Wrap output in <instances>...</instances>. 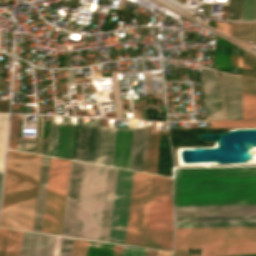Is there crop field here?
Segmentation results:
<instances>
[{
	"instance_id": "obj_1",
	"label": "crop field",
	"mask_w": 256,
	"mask_h": 256,
	"mask_svg": "<svg viewBox=\"0 0 256 256\" xmlns=\"http://www.w3.org/2000/svg\"><path fill=\"white\" fill-rule=\"evenodd\" d=\"M116 173L71 161L62 235L108 242Z\"/></svg>"
},
{
	"instance_id": "obj_2",
	"label": "crop field",
	"mask_w": 256,
	"mask_h": 256,
	"mask_svg": "<svg viewBox=\"0 0 256 256\" xmlns=\"http://www.w3.org/2000/svg\"><path fill=\"white\" fill-rule=\"evenodd\" d=\"M256 182V168L176 169L175 184ZM256 205V183L175 185L174 206Z\"/></svg>"
},
{
	"instance_id": "obj_3",
	"label": "crop field",
	"mask_w": 256,
	"mask_h": 256,
	"mask_svg": "<svg viewBox=\"0 0 256 256\" xmlns=\"http://www.w3.org/2000/svg\"><path fill=\"white\" fill-rule=\"evenodd\" d=\"M41 156L9 150L0 226L32 231Z\"/></svg>"
},
{
	"instance_id": "obj_4",
	"label": "crop field",
	"mask_w": 256,
	"mask_h": 256,
	"mask_svg": "<svg viewBox=\"0 0 256 256\" xmlns=\"http://www.w3.org/2000/svg\"><path fill=\"white\" fill-rule=\"evenodd\" d=\"M188 248H202L201 256H256V228L175 229L174 253Z\"/></svg>"
},
{
	"instance_id": "obj_5",
	"label": "crop field",
	"mask_w": 256,
	"mask_h": 256,
	"mask_svg": "<svg viewBox=\"0 0 256 256\" xmlns=\"http://www.w3.org/2000/svg\"><path fill=\"white\" fill-rule=\"evenodd\" d=\"M173 179L154 175L145 247L171 251Z\"/></svg>"
},
{
	"instance_id": "obj_6",
	"label": "crop field",
	"mask_w": 256,
	"mask_h": 256,
	"mask_svg": "<svg viewBox=\"0 0 256 256\" xmlns=\"http://www.w3.org/2000/svg\"><path fill=\"white\" fill-rule=\"evenodd\" d=\"M69 165L51 157L42 232L61 235Z\"/></svg>"
},
{
	"instance_id": "obj_7",
	"label": "crop field",
	"mask_w": 256,
	"mask_h": 256,
	"mask_svg": "<svg viewBox=\"0 0 256 256\" xmlns=\"http://www.w3.org/2000/svg\"><path fill=\"white\" fill-rule=\"evenodd\" d=\"M153 175L134 172L126 240L144 247Z\"/></svg>"
},
{
	"instance_id": "obj_8",
	"label": "crop field",
	"mask_w": 256,
	"mask_h": 256,
	"mask_svg": "<svg viewBox=\"0 0 256 256\" xmlns=\"http://www.w3.org/2000/svg\"><path fill=\"white\" fill-rule=\"evenodd\" d=\"M133 172L118 169L109 242L124 244Z\"/></svg>"
},
{
	"instance_id": "obj_9",
	"label": "crop field",
	"mask_w": 256,
	"mask_h": 256,
	"mask_svg": "<svg viewBox=\"0 0 256 256\" xmlns=\"http://www.w3.org/2000/svg\"><path fill=\"white\" fill-rule=\"evenodd\" d=\"M77 118L73 159L98 164L101 128L82 127Z\"/></svg>"
},
{
	"instance_id": "obj_10",
	"label": "crop field",
	"mask_w": 256,
	"mask_h": 256,
	"mask_svg": "<svg viewBox=\"0 0 256 256\" xmlns=\"http://www.w3.org/2000/svg\"><path fill=\"white\" fill-rule=\"evenodd\" d=\"M206 120L223 119L220 77L216 71L201 70Z\"/></svg>"
},
{
	"instance_id": "obj_11",
	"label": "crop field",
	"mask_w": 256,
	"mask_h": 256,
	"mask_svg": "<svg viewBox=\"0 0 256 256\" xmlns=\"http://www.w3.org/2000/svg\"><path fill=\"white\" fill-rule=\"evenodd\" d=\"M175 217L256 216V206L174 207Z\"/></svg>"
},
{
	"instance_id": "obj_12",
	"label": "crop field",
	"mask_w": 256,
	"mask_h": 256,
	"mask_svg": "<svg viewBox=\"0 0 256 256\" xmlns=\"http://www.w3.org/2000/svg\"><path fill=\"white\" fill-rule=\"evenodd\" d=\"M225 120L242 119L241 77L222 73Z\"/></svg>"
},
{
	"instance_id": "obj_13",
	"label": "crop field",
	"mask_w": 256,
	"mask_h": 256,
	"mask_svg": "<svg viewBox=\"0 0 256 256\" xmlns=\"http://www.w3.org/2000/svg\"><path fill=\"white\" fill-rule=\"evenodd\" d=\"M55 236L24 231L20 256H52Z\"/></svg>"
},
{
	"instance_id": "obj_14",
	"label": "crop field",
	"mask_w": 256,
	"mask_h": 256,
	"mask_svg": "<svg viewBox=\"0 0 256 256\" xmlns=\"http://www.w3.org/2000/svg\"><path fill=\"white\" fill-rule=\"evenodd\" d=\"M133 129L116 128L113 166L130 169Z\"/></svg>"
},
{
	"instance_id": "obj_15",
	"label": "crop field",
	"mask_w": 256,
	"mask_h": 256,
	"mask_svg": "<svg viewBox=\"0 0 256 256\" xmlns=\"http://www.w3.org/2000/svg\"><path fill=\"white\" fill-rule=\"evenodd\" d=\"M50 157L43 156L33 231L41 232Z\"/></svg>"
},
{
	"instance_id": "obj_16",
	"label": "crop field",
	"mask_w": 256,
	"mask_h": 256,
	"mask_svg": "<svg viewBox=\"0 0 256 256\" xmlns=\"http://www.w3.org/2000/svg\"><path fill=\"white\" fill-rule=\"evenodd\" d=\"M243 119H256V81L242 77Z\"/></svg>"
},
{
	"instance_id": "obj_17",
	"label": "crop field",
	"mask_w": 256,
	"mask_h": 256,
	"mask_svg": "<svg viewBox=\"0 0 256 256\" xmlns=\"http://www.w3.org/2000/svg\"><path fill=\"white\" fill-rule=\"evenodd\" d=\"M147 130L134 129L131 169L143 172Z\"/></svg>"
},
{
	"instance_id": "obj_18",
	"label": "crop field",
	"mask_w": 256,
	"mask_h": 256,
	"mask_svg": "<svg viewBox=\"0 0 256 256\" xmlns=\"http://www.w3.org/2000/svg\"><path fill=\"white\" fill-rule=\"evenodd\" d=\"M232 43L217 36L214 69L231 73Z\"/></svg>"
},
{
	"instance_id": "obj_19",
	"label": "crop field",
	"mask_w": 256,
	"mask_h": 256,
	"mask_svg": "<svg viewBox=\"0 0 256 256\" xmlns=\"http://www.w3.org/2000/svg\"><path fill=\"white\" fill-rule=\"evenodd\" d=\"M115 128L102 127L99 164L112 166Z\"/></svg>"
},
{
	"instance_id": "obj_20",
	"label": "crop field",
	"mask_w": 256,
	"mask_h": 256,
	"mask_svg": "<svg viewBox=\"0 0 256 256\" xmlns=\"http://www.w3.org/2000/svg\"><path fill=\"white\" fill-rule=\"evenodd\" d=\"M256 221H202V222H175V228L201 227H255Z\"/></svg>"
},
{
	"instance_id": "obj_21",
	"label": "crop field",
	"mask_w": 256,
	"mask_h": 256,
	"mask_svg": "<svg viewBox=\"0 0 256 256\" xmlns=\"http://www.w3.org/2000/svg\"><path fill=\"white\" fill-rule=\"evenodd\" d=\"M75 126H61L58 157L72 159Z\"/></svg>"
},
{
	"instance_id": "obj_22",
	"label": "crop field",
	"mask_w": 256,
	"mask_h": 256,
	"mask_svg": "<svg viewBox=\"0 0 256 256\" xmlns=\"http://www.w3.org/2000/svg\"><path fill=\"white\" fill-rule=\"evenodd\" d=\"M230 36L256 42V23H232Z\"/></svg>"
},
{
	"instance_id": "obj_23",
	"label": "crop field",
	"mask_w": 256,
	"mask_h": 256,
	"mask_svg": "<svg viewBox=\"0 0 256 256\" xmlns=\"http://www.w3.org/2000/svg\"><path fill=\"white\" fill-rule=\"evenodd\" d=\"M23 231L9 229L5 256H19Z\"/></svg>"
},
{
	"instance_id": "obj_24",
	"label": "crop field",
	"mask_w": 256,
	"mask_h": 256,
	"mask_svg": "<svg viewBox=\"0 0 256 256\" xmlns=\"http://www.w3.org/2000/svg\"><path fill=\"white\" fill-rule=\"evenodd\" d=\"M114 245L89 241L87 256H112Z\"/></svg>"
},
{
	"instance_id": "obj_25",
	"label": "crop field",
	"mask_w": 256,
	"mask_h": 256,
	"mask_svg": "<svg viewBox=\"0 0 256 256\" xmlns=\"http://www.w3.org/2000/svg\"><path fill=\"white\" fill-rule=\"evenodd\" d=\"M8 114H0V171H2L7 129H8Z\"/></svg>"
},
{
	"instance_id": "obj_26",
	"label": "crop field",
	"mask_w": 256,
	"mask_h": 256,
	"mask_svg": "<svg viewBox=\"0 0 256 256\" xmlns=\"http://www.w3.org/2000/svg\"><path fill=\"white\" fill-rule=\"evenodd\" d=\"M256 127V120L249 121H208V128Z\"/></svg>"
},
{
	"instance_id": "obj_27",
	"label": "crop field",
	"mask_w": 256,
	"mask_h": 256,
	"mask_svg": "<svg viewBox=\"0 0 256 256\" xmlns=\"http://www.w3.org/2000/svg\"><path fill=\"white\" fill-rule=\"evenodd\" d=\"M242 75L256 78V56L244 51Z\"/></svg>"
},
{
	"instance_id": "obj_28",
	"label": "crop field",
	"mask_w": 256,
	"mask_h": 256,
	"mask_svg": "<svg viewBox=\"0 0 256 256\" xmlns=\"http://www.w3.org/2000/svg\"><path fill=\"white\" fill-rule=\"evenodd\" d=\"M243 0H229L227 20L241 21Z\"/></svg>"
},
{
	"instance_id": "obj_29",
	"label": "crop field",
	"mask_w": 256,
	"mask_h": 256,
	"mask_svg": "<svg viewBox=\"0 0 256 256\" xmlns=\"http://www.w3.org/2000/svg\"><path fill=\"white\" fill-rule=\"evenodd\" d=\"M60 125L51 124L48 155L57 157Z\"/></svg>"
},
{
	"instance_id": "obj_30",
	"label": "crop field",
	"mask_w": 256,
	"mask_h": 256,
	"mask_svg": "<svg viewBox=\"0 0 256 256\" xmlns=\"http://www.w3.org/2000/svg\"><path fill=\"white\" fill-rule=\"evenodd\" d=\"M22 132V115H20L19 121V133H18V145L17 150L27 151L34 153L35 149V140H21Z\"/></svg>"
},
{
	"instance_id": "obj_31",
	"label": "crop field",
	"mask_w": 256,
	"mask_h": 256,
	"mask_svg": "<svg viewBox=\"0 0 256 256\" xmlns=\"http://www.w3.org/2000/svg\"><path fill=\"white\" fill-rule=\"evenodd\" d=\"M202 220H256V217H202V218H175V221H202Z\"/></svg>"
},
{
	"instance_id": "obj_32",
	"label": "crop field",
	"mask_w": 256,
	"mask_h": 256,
	"mask_svg": "<svg viewBox=\"0 0 256 256\" xmlns=\"http://www.w3.org/2000/svg\"><path fill=\"white\" fill-rule=\"evenodd\" d=\"M255 0H244L242 21H253Z\"/></svg>"
},
{
	"instance_id": "obj_33",
	"label": "crop field",
	"mask_w": 256,
	"mask_h": 256,
	"mask_svg": "<svg viewBox=\"0 0 256 256\" xmlns=\"http://www.w3.org/2000/svg\"><path fill=\"white\" fill-rule=\"evenodd\" d=\"M88 241L74 239L72 256H86Z\"/></svg>"
},
{
	"instance_id": "obj_34",
	"label": "crop field",
	"mask_w": 256,
	"mask_h": 256,
	"mask_svg": "<svg viewBox=\"0 0 256 256\" xmlns=\"http://www.w3.org/2000/svg\"><path fill=\"white\" fill-rule=\"evenodd\" d=\"M73 239L62 237L59 256H71Z\"/></svg>"
},
{
	"instance_id": "obj_35",
	"label": "crop field",
	"mask_w": 256,
	"mask_h": 256,
	"mask_svg": "<svg viewBox=\"0 0 256 256\" xmlns=\"http://www.w3.org/2000/svg\"><path fill=\"white\" fill-rule=\"evenodd\" d=\"M146 250L124 246L122 256H145Z\"/></svg>"
},
{
	"instance_id": "obj_36",
	"label": "crop field",
	"mask_w": 256,
	"mask_h": 256,
	"mask_svg": "<svg viewBox=\"0 0 256 256\" xmlns=\"http://www.w3.org/2000/svg\"><path fill=\"white\" fill-rule=\"evenodd\" d=\"M8 229L0 228V256H4Z\"/></svg>"
},
{
	"instance_id": "obj_37",
	"label": "crop field",
	"mask_w": 256,
	"mask_h": 256,
	"mask_svg": "<svg viewBox=\"0 0 256 256\" xmlns=\"http://www.w3.org/2000/svg\"><path fill=\"white\" fill-rule=\"evenodd\" d=\"M122 249H123V246L115 245L113 256H121Z\"/></svg>"
},
{
	"instance_id": "obj_38",
	"label": "crop field",
	"mask_w": 256,
	"mask_h": 256,
	"mask_svg": "<svg viewBox=\"0 0 256 256\" xmlns=\"http://www.w3.org/2000/svg\"><path fill=\"white\" fill-rule=\"evenodd\" d=\"M156 256H171V253L157 251Z\"/></svg>"
},
{
	"instance_id": "obj_39",
	"label": "crop field",
	"mask_w": 256,
	"mask_h": 256,
	"mask_svg": "<svg viewBox=\"0 0 256 256\" xmlns=\"http://www.w3.org/2000/svg\"><path fill=\"white\" fill-rule=\"evenodd\" d=\"M156 251L147 250L146 256H155Z\"/></svg>"
},
{
	"instance_id": "obj_40",
	"label": "crop field",
	"mask_w": 256,
	"mask_h": 256,
	"mask_svg": "<svg viewBox=\"0 0 256 256\" xmlns=\"http://www.w3.org/2000/svg\"><path fill=\"white\" fill-rule=\"evenodd\" d=\"M254 21H256V6H255V16H254Z\"/></svg>"
},
{
	"instance_id": "obj_41",
	"label": "crop field",
	"mask_w": 256,
	"mask_h": 256,
	"mask_svg": "<svg viewBox=\"0 0 256 256\" xmlns=\"http://www.w3.org/2000/svg\"><path fill=\"white\" fill-rule=\"evenodd\" d=\"M1 177H2V172H0V186H1Z\"/></svg>"
}]
</instances>
